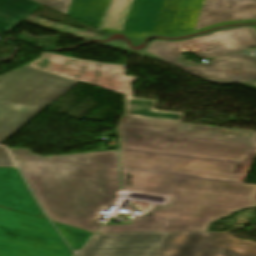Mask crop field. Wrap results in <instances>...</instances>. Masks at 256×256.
<instances>
[{
    "label": "crop field",
    "mask_w": 256,
    "mask_h": 256,
    "mask_svg": "<svg viewBox=\"0 0 256 256\" xmlns=\"http://www.w3.org/2000/svg\"><path fill=\"white\" fill-rule=\"evenodd\" d=\"M122 193L141 215L99 233L206 231L256 207V185L235 171L255 149L256 132L124 117L118 126Z\"/></svg>",
    "instance_id": "obj_1"
},
{
    "label": "crop field",
    "mask_w": 256,
    "mask_h": 256,
    "mask_svg": "<svg viewBox=\"0 0 256 256\" xmlns=\"http://www.w3.org/2000/svg\"><path fill=\"white\" fill-rule=\"evenodd\" d=\"M39 204L51 220L95 233L93 219L118 194L117 151L40 157L9 149Z\"/></svg>",
    "instance_id": "obj_2"
},
{
    "label": "crop field",
    "mask_w": 256,
    "mask_h": 256,
    "mask_svg": "<svg viewBox=\"0 0 256 256\" xmlns=\"http://www.w3.org/2000/svg\"><path fill=\"white\" fill-rule=\"evenodd\" d=\"M256 47L254 27L231 28L182 41L155 40L144 51L210 83L227 86L256 80V57L244 53L212 59L202 65H183L180 52L213 58Z\"/></svg>",
    "instance_id": "obj_3"
},
{
    "label": "crop field",
    "mask_w": 256,
    "mask_h": 256,
    "mask_svg": "<svg viewBox=\"0 0 256 256\" xmlns=\"http://www.w3.org/2000/svg\"><path fill=\"white\" fill-rule=\"evenodd\" d=\"M77 256H256V243L222 232L97 234Z\"/></svg>",
    "instance_id": "obj_4"
},
{
    "label": "crop field",
    "mask_w": 256,
    "mask_h": 256,
    "mask_svg": "<svg viewBox=\"0 0 256 256\" xmlns=\"http://www.w3.org/2000/svg\"><path fill=\"white\" fill-rule=\"evenodd\" d=\"M77 83L27 66L0 76V144Z\"/></svg>",
    "instance_id": "obj_5"
},
{
    "label": "crop field",
    "mask_w": 256,
    "mask_h": 256,
    "mask_svg": "<svg viewBox=\"0 0 256 256\" xmlns=\"http://www.w3.org/2000/svg\"><path fill=\"white\" fill-rule=\"evenodd\" d=\"M161 2L113 0L103 26L136 35L151 33ZM242 19H256V0H202L191 30Z\"/></svg>",
    "instance_id": "obj_6"
},
{
    "label": "crop field",
    "mask_w": 256,
    "mask_h": 256,
    "mask_svg": "<svg viewBox=\"0 0 256 256\" xmlns=\"http://www.w3.org/2000/svg\"><path fill=\"white\" fill-rule=\"evenodd\" d=\"M75 60L73 62L72 58L44 53L28 66L126 94L125 116L181 122L184 114L155 111L153 106L157 100L133 98L131 82L138 77L125 76V66ZM141 104L145 107H138Z\"/></svg>",
    "instance_id": "obj_7"
},
{
    "label": "crop field",
    "mask_w": 256,
    "mask_h": 256,
    "mask_svg": "<svg viewBox=\"0 0 256 256\" xmlns=\"http://www.w3.org/2000/svg\"><path fill=\"white\" fill-rule=\"evenodd\" d=\"M0 256H73L49 221L0 207Z\"/></svg>",
    "instance_id": "obj_8"
},
{
    "label": "crop field",
    "mask_w": 256,
    "mask_h": 256,
    "mask_svg": "<svg viewBox=\"0 0 256 256\" xmlns=\"http://www.w3.org/2000/svg\"><path fill=\"white\" fill-rule=\"evenodd\" d=\"M0 205L46 218L16 168H0Z\"/></svg>",
    "instance_id": "obj_9"
},
{
    "label": "crop field",
    "mask_w": 256,
    "mask_h": 256,
    "mask_svg": "<svg viewBox=\"0 0 256 256\" xmlns=\"http://www.w3.org/2000/svg\"><path fill=\"white\" fill-rule=\"evenodd\" d=\"M40 6L31 0H0V32L15 28Z\"/></svg>",
    "instance_id": "obj_10"
},
{
    "label": "crop field",
    "mask_w": 256,
    "mask_h": 256,
    "mask_svg": "<svg viewBox=\"0 0 256 256\" xmlns=\"http://www.w3.org/2000/svg\"><path fill=\"white\" fill-rule=\"evenodd\" d=\"M62 236L67 240L74 250L80 249L93 233L53 222Z\"/></svg>",
    "instance_id": "obj_11"
},
{
    "label": "crop field",
    "mask_w": 256,
    "mask_h": 256,
    "mask_svg": "<svg viewBox=\"0 0 256 256\" xmlns=\"http://www.w3.org/2000/svg\"><path fill=\"white\" fill-rule=\"evenodd\" d=\"M243 22H256V20H242V21H235V22H223V23L215 24V25H212V26H209V27H205V28H202V29H198V30H195V31H191V32H187V33H182V34H176V35H167V34H162V33H152V34H148V35L136 36V35L128 34V33L124 32V31H110V30H108V29H106L104 27L102 28V30H104L105 32H107L110 35L113 34V33H123L133 43V46H137V45L143 43V39L145 37L151 36V35H164V36L173 37V36H180V35L190 34V33L198 32V31H203L205 29L216 27V26L223 25V24L243 23Z\"/></svg>",
    "instance_id": "obj_12"
},
{
    "label": "crop field",
    "mask_w": 256,
    "mask_h": 256,
    "mask_svg": "<svg viewBox=\"0 0 256 256\" xmlns=\"http://www.w3.org/2000/svg\"><path fill=\"white\" fill-rule=\"evenodd\" d=\"M53 10L67 14L72 0H33Z\"/></svg>",
    "instance_id": "obj_13"
},
{
    "label": "crop field",
    "mask_w": 256,
    "mask_h": 256,
    "mask_svg": "<svg viewBox=\"0 0 256 256\" xmlns=\"http://www.w3.org/2000/svg\"><path fill=\"white\" fill-rule=\"evenodd\" d=\"M0 167H13L10 157L3 147H0Z\"/></svg>",
    "instance_id": "obj_14"
},
{
    "label": "crop field",
    "mask_w": 256,
    "mask_h": 256,
    "mask_svg": "<svg viewBox=\"0 0 256 256\" xmlns=\"http://www.w3.org/2000/svg\"><path fill=\"white\" fill-rule=\"evenodd\" d=\"M255 29H256V26H255Z\"/></svg>",
    "instance_id": "obj_15"
}]
</instances>
